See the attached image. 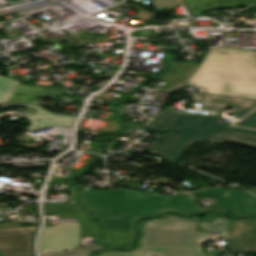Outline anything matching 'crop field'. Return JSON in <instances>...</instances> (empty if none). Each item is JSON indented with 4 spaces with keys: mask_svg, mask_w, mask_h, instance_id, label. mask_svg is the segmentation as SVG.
I'll use <instances>...</instances> for the list:
<instances>
[{
    "mask_svg": "<svg viewBox=\"0 0 256 256\" xmlns=\"http://www.w3.org/2000/svg\"><path fill=\"white\" fill-rule=\"evenodd\" d=\"M82 195L87 205L97 209L96 215L109 231L104 238L107 244H112L111 231L132 232L136 216H151L167 209L181 213L201 210L189 195L153 196L128 189L83 190ZM109 215L122 216L111 219Z\"/></svg>",
    "mask_w": 256,
    "mask_h": 256,
    "instance_id": "8a807250",
    "label": "crop field"
},
{
    "mask_svg": "<svg viewBox=\"0 0 256 256\" xmlns=\"http://www.w3.org/2000/svg\"><path fill=\"white\" fill-rule=\"evenodd\" d=\"M218 222L221 227L216 226ZM229 223V220L217 218L211 224L203 222L201 229L204 232H197L195 221L174 215L148 220L143 226L142 247L130 252H103L98 256H215L202 252L201 244L208 240L206 232L223 233V240H226Z\"/></svg>",
    "mask_w": 256,
    "mask_h": 256,
    "instance_id": "ac0d7876",
    "label": "crop field"
},
{
    "mask_svg": "<svg viewBox=\"0 0 256 256\" xmlns=\"http://www.w3.org/2000/svg\"><path fill=\"white\" fill-rule=\"evenodd\" d=\"M148 127L155 131H172L163 142L148 153H163L174 160L191 142L206 140L212 142L228 141L256 147V131L233 127L219 122L218 117L193 114L185 115L165 111Z\"/></svg>",
    "mask_w": 256,
    "mask_h": 256,
    "instance_id": "34b2d1b8",
    "label": "crop field"
},
{
    "mask_svg": "<svg viewBox=\"0 0 256 256\" xmlns=\"http://www.w3.org/2000/svg\"><path fill=\"white\" fill-rule=\"evenodd\" d=\"M187 83L205 87L209 94L256 100V51L209 50Z\"/></svg>",
    "mask_w": 256,
    "mask_h": 256,
    "instance_id": "412701ff",
    "label": "crop field"
},
{
    "mask_svg": "<svg viewBox=\"0 0 256 256\" xmlns=\"http://www.w3.org/2000/svg\"><path fill=\"white\" fill-rule=\"evenodd\" d=\"M192 195L193 197L215 199V204L208 211H231L237 215L256 213V197L246 192L212 188L192 192Z\"/></svg>",
    "mask_w": 256,
    "mask_h": 256,
    "instance_id": "f4fd0767",
    "label": "crop field"
},
{
    "mask_svg": "<svg viewBox=\"0 0 256 256\" xmlns=\"http://www.w3.org/2000/svg\"><path fill=\"white\" fill-rule=\"evenodd\" d=\"M65 89L48 86H32L0 75V105L24 104L28 98L45 94L62 95Z\"/></svg>",
    "mask_w": 256,
    "mask_h": 256,
    "instance_id": "dd49c442",
    "label": "crop field"
},
{
    "mask_svg": "<svg viewBox=\"0 0 256 256\" xmlns=\"http://www.w3.org/2000/svg\"><path fill=\"white\" fill-rule=\"evenodd\" d=\"M39 227L0 230V251L4 256H35L34 238Z\"/></svg>",
    "mask_w": 256,
    "mask_h": 256,
    "instance_id": "e52e79f7",
    "label": "crop field"
},
{
    "mask_svg": "<svg viewBox=\"0 0 256 256\" xmlns=\"http://www.w3.org/2000/svg\"><path fill=\"white\" fill-rule=\"evenodd\" d=\"M80 245V227L45 231L39 239V253L67 251Z\"/></svg>",
    "mask_w": 256,
    "mask_h": 256,
    "instance_id": "d8731c3e",
    "label": "crop field"
},
{
    "mask_svg": "<svg viewBox=\"0 0 256 256\" xmlns=\"http://www.w3.org/2000/svg\"><path fill=\"white\" fill-rule=\"evenodd\" d=\"M192 101L200 103L205 110L217 112L224 107H234V115L240 119L245 114L256 108L255 100H247L233 97L209 95V94H194Z\"/></svg>",
    "mask_w": 256,
    "mask_h": 256,
    "instance_id": "5a996713",
    "label": "crop field"
},
{
    "mask_svg": "<svg viewBox=\"0 0 256 256\" xmlns=\"http://www.w3.org/2000/svg\"><path fill=\"white\" fill-rule=\"evenodd\" d=\"M248 239L254 242H248ZM235 244L237 247H234ZM227 247L238 250H256V219L231 220Z\"/></svg>",
    "mask_w": 256,
    "mask_h": 256,
    "instance_id": "3316defc",
    "label": "crop field"
},
{
    "mask_svg": "<svg viewBox=\"0 0 256 256\" xmlns=\"http://www.w3.org/2000/svg\"><path fill=\"white\" fill-rule=\"evenodd\" d=\"M192 16L218 8L236 7L245 0H184Z\"/></svg>",
    "mask_w": 256,
    "mask_h": 256,
    "instance_id": "28ad6ade",
    "label": "crop field"
},
{
    "mask_svg": "<svg viewBox=\"0 0 256 256\" xmlns=\"http://www.w3.org/2000/svg\"><path fill=\"white\" fill-rule=\"evenodd\" d=\"M24 117H28V121L30 123L29 128H27L28 131L46 128V127H50L53 125L72 128L73 123H74L71 121L38 118V117H31V116H24Z\"/></svg>",
    "mask_w": 256,
    "mask_h": 256,
    "instance_id": "d1516ede",
    "label": "crop field"
},
{
    "mask_svg": "<svg viewBox=\"0 0 256 256\" xmlns=\"http://www.w3.org/2000/svg\"><path fill=\"white\" fill-rule=\"evenodd\" d=\"M60 216L62 219L76 218L77 223L56 225L55 227H53V229L77 227V226H80L82 223L87 224V225H94V222L88 213L65 214V215H60Z\"/></svg>",
    "mask_w": 256,
    "mask_h": 256,
    "instance_id": "22f410ed",
    "label": "crop field"
},
{
    "mask_svg": "<svg viewBox=\"0 0 256 256\" xmlns=\"http://www.w3.org/2000/svg\"><path fill=\"white\" fill-rule=\"evenodd\" d=\"M19 107H28L27 110H26L27 115H32L30 112L33 111L35 116H43V117L59 118V119H68V120H75V118H76V117H73V116H66V115H59V114L50 113V112L44 110L40 106H19ZM31 107L39 110V113L35 110L29 111Z\"/></svg>",
    "mask_w": 256,
    "mask_h": 256,
    "instance_id": "cbeb9de0",
    "label": "crop field"
},
{
    "mask_svg": "<svg viewBox=\"0 0 256 256\" xmlns=\"http://www.w3.org/2000/svg\"><path fill=\"white\" fill-rule=\"evenodd\" d=\"M101 248L102 247L80 248L81 251L60 253V254H52V255H44V256H89L91 252H93L97 249H101Z\"/></svg>",
    "mask_w": 256,
    "mask_h": 256,
    "instance_id": "5142ce71",
    "label": "crop field"
},
{
    "mask_svg": "<svg viewBox=\"0 0 256 256\" xmlns=\"http://www.w3.org/2000/svg\"><path fill=\"white\" fill-rule=\"evenodd\" d=\"M183 3V0H152V5L156 7L158 10Z\"/></svg>",
    "mask_w": 256,
    "mask_h": 256,
    "instance_id": "d9b57169",
    "label": "crop field"
},
{
    "mask_svg": "<svg viewBox=\"0 0 256 256\" xmlns=\"http://www.w3.org/2000/svg\"><path fill=\"white\" fill-rule=\"evenodd\" d=\"M235 125L256 130V111Z\"/></svg>",
    "mask_w": 256,
    "mask_h": 256,
    "instance_id": "733c2abd",
    "label": "crop field"
},
{
    "mask_svg": "<svg viewBox=\"0 0 256 256\" xmlns=\"http://www.w3.org/2000/svg\"><path fill=\"white\" fill-rule=\"evenodd\" d=\"M143 11L138 12V16L142 20L150 21L153 18V14L147 12L146 10L142 9Z\"/></svg>",
    "mask_w": 256,
    "mask_h": 256,
    "instance_id": "4a817a6b",
    "label": "crop field"
},
{
    "mask_svg": "<svg viewBox=\"0 0 256 256\" xmlns=\"http://www.w3.org/2000/svg\"><path fill=\"white\" fill-rule=\"evenodd\" d=\"M248 3L252 4L254 2H256V0H246Z\"/></svg>",
    "mask_w": 256,
    "mask_h": 256,
    "instance_id": "bc2a9ffb",
    "label": "crop field"
},
{
    "mask_svg": "<svg viewBox=\"0 0 256 256\" xmlns=\"http://www.w3.org/2000/svg\"><path fill=\"white\" fill-rule=\"evenodd\" d=\"M251 192L254 193V194H256V188L251 189Z\"/></svg>",
    "mask_w": 256,
    "mask_h": 256,
    "instance_id": "214f88e0",
    "label": "crop field"
},
{
    "mask_svg": "<svg viewBox=\"0 0 256 256\" xmlns=\"http://www.w3.org/2000/svg\"><path fill=\"white\" fill-rule=\"evenodd\" d=\"M0 256H2V253L0 252Z\"/></svg>",
    "mask_w": 256,
    "mask_h": 256,
    "instance_id": "92a150f3",
    "label": "crop field"
}]
</instances>
